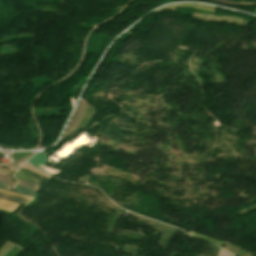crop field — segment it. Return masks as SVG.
I'll return each mask as SVG.
<instances>
[{"mask_svg":"<svg viewBox=\"0 0 256 256\" xmlns=\"http://www.w3.org/2000/svg\"><path fill=\"white\" fill-rule=\"evenodd\" d=\"M18 185H21L23 187H26V188H29V189H32L34 191H39V188L38 186H34V185H31L29 183H26V182H22V181H19Z\"/></svg>","mask_w":256,"mask_h":256,"instance_id":"4","label":"crop field"},{"mask_svg":"<svg viewBox=\"0 0 256 256\" xmlns=\"http://www.w3.org/2000/svg\"><path fill=\"white\" fill-rule=\"evenodd\" d=\"M4 156V154L0 153V159ZM0 164H6L0 161Z\"/></svg>","mask_w":256,"mask_h":256,"instance_id":"6","label":"crop field"},{"mask_svg":"<svg viewBox=\"0 0 256 256\" xmlns=\"http://www.w3.org/2000/svg\"><path fill=\"white\" fill-rule=\"evenodd\" d=\"M10 179H13V178H11V177H7V176H4V175H1L0 174V181H2V182H6V183H12V184H15V182H11V181H9ZM15 180V179H14Z\"/></svg>","mask_w":256,"mask_h":256,"instance_id":"5","label":"crop field"},{"mask_svg":"<svg viewBox=\"0 0 256 256\" xmlns=\"http://www.w3.org/2000/svg\"><path fill=\"white\" fill-rule=\"evenodd\" d=\"M0 199L10 201V202H14V203H18L20 205H25V204H28L30 202V200L24 199L22 197L9 195V194H5V193H1V192H0Z\"/></svg>","mask_w":256,"mask_h":256,"instance_id":"2","label":"crop field"},{"mask_svg":"<svg viewBox=\"0 0 256 256\" xmlns=\"http://www.w3.org/2000/svg\"><path fill=\"white\" fill-rule=\"evenodd\" d=\"M47 159V156L42 154V153H37L36 155H34L30 160H28V162L32 163L33 165H36L39 169H41L42 171L48 173V174H56L60 171L57 170H53L47 167H44V163Z\"/></svg>","mask_w":256,"mask_h":256,"instance_id":"1","label":"crop field"},{"mask_svg":"<svg viewBox=\"0 0 256 256\" xmlns=\"http://www.w3.org/2000/svg\"><path fill=\"white\" fill-rule=\"evenodd\" d=\"M7 185L8 184H6V183L0 182V189L7 190V189L3 188V187H7ZM15 188L18 189L16 192L25 194V195L30 196L32 198H34L37 195V192L31 191V190L26 189V188H22V187H18V186H16Z\"/></svg>","mask_w":256,"mask_h":256,"instance_id":"3","label":"crop field"}]
</instances>
